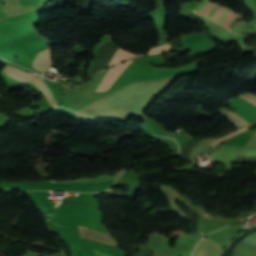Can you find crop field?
I'll use <instances>...</instances> for the list:
<instances>
[{
    "mask_svg": "<svg viewBox=\"0 0 256 256\" xmlns=\"http://www.w3.org/2000/svg\"><path fill=\"white\" fill-rule=\"evenodd\" d=\"M218 6V4H213L210 3L208 0H204L195 9H193V12L211 18L213 12L216 10ZM236 16V14H234L231 10L227 9L226 7L219 6L217 10L214 12V15L211 20L215 21L216 23L222 25L223 27L229 30L230 23Z\"/></svg>",
    "mask_w": 256,
    "mask_h": 256,
    "instance_id": "8a807250",
    "label": "crop field"
},
{
    "mask_svg": "<svg viewBox=\"0 0 256 256\" xmlns=\"http://www.w3.org/2000/svg\"><path fill=\"white\" fill-rule=\"evenodd\" d=\"M79 226H83V225H79ZM79 226H78V229H79L80 237L100 241L116 247L118 246V242L111 236L109 232H105V231L94 229L87 226H85V228H83L84 226L83 227H79ZM94 253L96 254V256H109L105 253L98 252V251H94Z\"/></svg>",
    "mask_w": 256,
    "mask_h": 256,
    "instance_id": "ac0d7876",
    "label": "crop field"
},
{
    "mask_svg": "<svg viewBox=\"0 0 256 256\" xmlns=\"http://www.w3.org/2000/svg\"><path fill=\"white\" fill-rule=\"evenodd\" d=\"M133 60L114 66L109 69L108 73L106 74L105 78L98 86L96 91H105L108 90L112 83L117 79V77L123 72V70L132 62Z\"/></svg>",
    "mask_w": 256,
    "mask_h": 256,
    "instance_id": "34b2d1b8",
    "label": "crop field"
},
{
    "mask_svg": "<svg viewBox=\"0 0 256 256\" xmlns=\"http://www.w3.org/2000/svg\"><path fill=\"white\" fill-rule=\"evenodd\" d=\"M169 48H170V46L168 44L157 46V47L152 48L147 55L163 53V52L168 51ZM141 56H143V55H141ZM131 57H136V56L120 49V51L114 57L110 66L115 65V64H117L125 59L131 58Z\"/></svg>",
    "mask_w": 256,
    "mask_h": 256,
    "instance_id": "412701ff",
    "label": "crop field"
},
{
    "mask_svg": "<svg viewBox=\"0 0 256 256\" xmlns=\"http://www.w3.org/2000/svg\"><path fill=\"white\" fill-rule=\"evenodd\" d=\"M51 58V49L41 51L37 54L32 66L38 71H46L51 64Z\"/></svg>",
    "mask_w": 256,
    "mask_h": 256,
    "instance_id": "f4fd0767",
    "label": "crop field"
},
{
    "mask_svg": "<svg viewBox=\"0 0 256 256\" xmlns=\"http://www.w3.org/2000/svg\"><path fill=\"white\" fill-rule=\"evenodd\" d=\"M3 72L7 73L8 75L17 78L19 80L25 81L29 83L31 80L35 78V76L28 74L26 72H23L19 69H16L12 66H6Z\"/></svg>",
    "mask_w": 256,
    "mask_h": 256,
    "instance_id": "dd49c442",
    "label": "crop field"
},
{
    "mask_svg": "<svg viewBox=\"0 0 256 256\" xmlns=\"http://www.w3.org/2000/svg\"><path fill=\"white\" fill-rule=\"evenodd\" d=\"M122 171V170H121ZM120 172V171H119ZM118 172V173H119ZM117 173V174H118ZM117 174L110 176L108 174H105L103 176H98V177H93V178H78L74 181H60V182H104V181H111V180H115ZM49 182H57L54 180H51Z\"/></svg>",
    "mask_w": 256,
    "mask_h": 256,
    "instance_id": "e52e79f7",
    "label": "crop field"
},
{
    "mask_svg": "<svg viewBox=\"0 0 256 256\" xmlns=\"http://www.w3.org/2000/svg\"><path fill=\"white\" fill-rule=\"evenodd\" d=\"M216 112L223 114L222 116L230 119L231 121H233L235 124H237L238 126H242V125H249L250 123L248 121H246L245 119H243L242 117L234 114V113H230L224 109H219Z\"/></svg>",
    "mask_w": 256,
    "mask_h": 256,
    "instance_id": "d8731c3e",
    "label": "crop field"
},
{
    "mask_svg": "<svg viewBox=\"0 0 256 256\" xmlns=\"http://www.w3.org/2000/svg\"><path fill=\"white\" fill-rule=\"evenodd\" d=\"M31 83L35 84L36 86L40 87V88L43 90V92L45 93V95H46V97H47V99H48L49 104H50L54 109L58 107V106L51 100V98H50V96H49V94H48V92H47L45 86L43 85V83H42L38 78H37L36 80H34L33 82H31Z\"/></svg>",
    "mask_w": 256,
    "mask_h": 256,
    "instance_id": "5a996713",
    "label": "crop field"
},
{
    "mask_svg": "<svg viewBox=\"0 0 256 256\" xmlns=\"http://www.w3.org/2000/svg\"><path fill=\"white\" fill-rule=\"evenodd\" d=\"M245 129H247V128L244 127V128H242V129H240V130H238V131H236V132H234V133H232V134H230V135H228V136H225V137H223V138H221V139H219V140H217V141H215V142H213V143H211V142H210V143H211V145L214 147V146L218 145L219 143H221V142H223V141H225V140H227V139H229V138L235 136L236 134H238L239 132H241V131H243V130H245Z\"/></svg>",
    "mask_w": 256,
    "mask_h": 256,
    "instance_id": "3316defc",
    "label": "crop field"
},
{
    "mask_svg": "<svg viewBox=\"0 0 256 256\" xmlns=\"http://www.w3.org/2000/svg\"><path fill=\"white\" fill-rule=\"evenodd\" d=\"M242 99H245L247 101H249L250 103L254 104L256 106V96L250 93H246L243 94L241 96H239Z\"/></svg>",
    "mask_w": 256,
    "mask_h": 256,
    "instance_id": "28ad6ade",
    "label": "crop field"
}]
</instances>
